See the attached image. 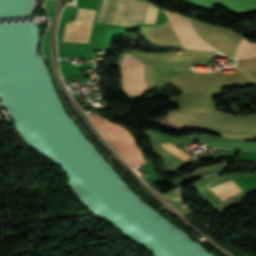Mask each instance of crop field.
I'll use <instances>...</instances> for the list:
<instances>
[{"mask_svg":"<svg viewBox=\"0 0 256 256\" xmlns=\"http://www.w3.org/2000/svg\"><path fill=\"white\" fill-rule=\"evenodd\" d=\"M137 3L135 0H102L96 22L132 26ZM147 6L139 1L133 25L144 24Z\"/></svg>","mask_w":256,"mask_h":256,"instance_id":"8a807250","label":"crop field"},{"mask_svg":"<svg viewBox=\"0 0 256 256\" xmlns=\"http://www.w3.org/2000/svg\"><path fill=\"white\" fill-rule=\"evenodd\" d=\"M144 64L127 53L121 63V73L124 82V92L139 95L147 92L143 80Z\"/></svg>","mask_w":256,"mask_h":256,"instance_id":"ac0d7876","label":"crop field"},{"mask_svg":"<svg viewBox=\"0 0 256 256\" xmlns=\"http://www.w3.org/2000/svg\"><path fill=\"white\" fill-rule=\"evenodd\" d=\"M163 12L168 17L178 39L183 44L184 48L213 49L199 38V36L193 31L191 24L184 16L166 10H163Z\"/></svg>","mask_w":256,"mask_h":256,"instance_id":"34b2d1b8","label":"crop field"},{"mask_svg":"<svg viewBox=\"0 0 256 256\" xmlns=\"http://www.w3.org/2000/svg\"><path fill=\"white\" fill-rule=\"evenodd\" d=\"M256 55V43H252L243 37L235 57H251Z\"/></svg>","mask_w":256,"mask_h":256,"instance_id":"412701ff","label":"crop field"},{"mask_svg":"<svg viewBox=\"0 0 256 256\" xmlns=\"http://www.w3.org/2000/svg\"><path fill=\"white\" fill-rule=\"evenodd\" d=\"M162 147L168 149L169 151H171L172 153H174L176 156L184 159L187 161V159L189 158L190 155L184 153L183 151L177 149L176 147H174L172 144L170 143H163V144H159Z\"/></svg>","mask_w":256,"mask_h":256,"instance_id":"f4fd0767","label":"crop field"},{"mask_svg":"<svg viewBox=\"0 0 256 256\" xmlns=\"http://www.w3.org/2000/svg\"><path fill=\"white\" fill-rule=\"evenodd\" d=\"M234 186H236V185L232 182V180H230V181H228V182H225V183H223V184H220V185H218V186H216V187H213V188H211V189H212L215 193H218V192H220V191L226 190V189L231 188V187H234Z\"/></svg>","mask_w":256,"mask_h":256,"instance_id":"dd49c442","label":"crop field"}]
</instances>
